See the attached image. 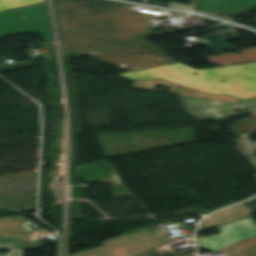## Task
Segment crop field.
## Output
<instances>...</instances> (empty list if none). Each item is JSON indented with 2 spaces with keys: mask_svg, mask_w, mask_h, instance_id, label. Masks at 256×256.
<instances>
[{
  "mask_svg": "<svg viewBox=\"0 0 256 256\" xmlns=\"http://www.w3.org/2000/svg\"><path fill=\"white\" fill-rule=\"evenodd\" d=\"M129 6L104 1L57 12L62 52L138 38L136 34L152 31L147 19L156 15L131 12Z\"/></svg>",
  "mask_w": 256,
  "mask_h": 256,
  "instance_id": "crop-field-1",
  "label": "crop field"
},
{
  "mask_svg": "<svg viewBox=\"0 0 256 256\" xmlns=\"http://www.w3.org/2000/svg\"><path fill=\"white\" fill-rule=\"evenodd\" d=\"M192 72L199 75L194 76ZM118 75L130 80L160 78L206 94L232 95L238 99L256 96V62L205 70L173 63Z\"/></svg>",
  "mask_w": 256,
  "mask_h": 256,
  "instance_id": "crop-field-2",
  "label": "crop field"
},
{
  "mask_svg": "<svg viewBox=\"0 0 256 256\" xmlns=\"http://www.w3.org/2000/svg\"><path fill=\"white\" fill-rule=\"evenodd\" d=\"M163 230L149 231L148 229H138L123 236L103 242L104 246L86 250L70 256H137L160 246L158 243H170L183 238V236L165 237ZM147 236L150 239L145 240Z\"/></svg>",
  "mask_w": 256,
  "mask_h": 256,
  "instance_id": "crop-field-3",
  "label": "crop field"
},
{
  "mask_svg": "<svg viewBox=\"0 0 256 256\" xmlns=\"http://www.w3.org/2000/svg\"><path fill=\"white\" fill-rule=\"evenodd\" d=\"M140 41L144 46L94 55L92 57L112 65L119 62L127 63L129 66L123 69L127 72L174 62L156 45H151L147 39Z\"/></svg>",
  "mask_w": 256,
  "mask_h": 256,
  "instance_id": "crop-field-4",
  "label": "crop field"
},
{
  "mask_svg": "<svg viewBox=\"0 0 256 256\" xmlns=\"http://www.w3.org/2000/svg\"><path fill=\"white\" fill-rule=\"evenodd\" d=\"M218 229L222 233L205 239H197L198 247L207 250H217L242 239L256 236V224L252 221L251 216L222 225Z\"/></svg>",
  "mask_w": 256,
  "mask_h": 256,
  "instance_id": "crop-field-5",
  "label": "crop field"
},
{
  "mask_svg": "<svg viewBox=\"0 0 256 256\" xmlns=\"http://www.w3.org/2000/svg\"><path fill=\"white\" fill-rule=\"evenodd\" d=\"M184 109L199 121L220 120L235 116L236 104L178 96Z\"/></svg>",
  "mask_w": 256,
  "mask_h": 256,
  "instance_id": "crop-field-6",
  "label": "crop field"
},
{
  "mask_svg": "<svg viewBox=\"0 0 256 256\" xmlns=\"http://www.w3.org/2000/svg\"><path fill=\"white\" fill-rule=\"evenodd\" d=\"M76 175L88 182L106 181L113 184L112 198L133 195L120 181L116 169L106 161L78 166Z\"/></svg>",
  "mask_w": 256,
  "mask_h": 256,
  "instance_id": "crop-field-7",
  "label": "crop field"
},
{
  "mask_svg": "<svg viewBox=\"0 0 256 256\" xmlns=\"http://www.w3.org/2000/svg\"><path fill=\"white\" fill-rule=\"evenodd\" d=\"M48 13L25 18L19 21L0 24V36L6 33L21 34L26 32H39L47 42L38 44L39 47L53 45Z\"/></svg>",
  "mask_w": 256,
  "mask_h": 256,
  "instance_id": "crop-field-8",
  "label": "crop field"
},
{
  "mask_svg": "<svg viewBox=\"0 0 256 256\" xmlns=\"http://www.w3.org/2000/svg\"><path fill=\"white\" fill-rule=\"evenodd\" d=\"M255 5L256 0H202L200 10L213 13H241Z\"/></svg>",
  "mask_w": 256,
  "mask_h": 256,
  "instance_id": "crop-field-9",
  "label": "crop field"
},
{
  "mask_svg": "<svg viewBox=\"0 0 256 256\" xmlns=\"http://www.w3.org/2000/svg\"><path fill=\"white\" fill-rule=\"evenodd\" d=\"M250 215L252 214L242 205L236 206L235 208L231 207L203 220V222L199 226L198 232L207 230L209 228L222 225L231 221H235Z\"/></svg>",
  "mask_w": 256,
  "mask_h": 256,
  "instance_id": "crop-field-10",
  "label": "crop field"
},
{
  "mask_svg": "<svg viewBox=\"0 0 256 256\" xmlns=\"http://www.w3.org/2000/svg\"><path fill=\"white\" fill-rule=\"evenodd\" d=\"M204 38L211 43L208 47L215 53H222V51H234L235 48L226 43V41L239 39L234 30L209 34Z\"/></svg>",
  "mask_w": 256,
  "mask_h": 256,
  "instance_id": "crop-field-11",
  "label": "crop field"
},
{
  "mask_svg": "<svg viewBox=\"0 0 256 256\" xmlns=\"http://www.w3.org/2000/svg\"><path fill=\"white\" fill-rule=\"evenodd\" d=\"M48 12L47 3L0 13V23Z\"/></svg>",
  "mask_w": 256,
  "mask_h": 256,
  "instance_id": "crop-field-12",
  "label": "crop field"
},
{
  "mask_svg": "<svg viewBox=\"0 0 256 256\" xmlns=\"http://www.w3.org/2000/svg\"><path fill=\"white\" fill-rule=\"evenodd\" d=\"M216 252H225L226 255L224 256H256V237L217 250Z\"/></svg>",
  "mask_w": 256,
  "mask_h": 256,
  "instance_id": "crop-field-13",
  "label": "crop field"
},
{
  "mask_svg": "<svg viewBox=\"0 0 256 256\" xmlns=\"http://www.w3.org/2000/svg\"><path fill=\"white\" fill-rule=\"evenodd\" d=\"M255 133L256 132L239 135V139L235 140L237 149L247 160L256 158V141H250L249 139V136Z\"/></svg>",
  "mask_w": 256,
  "mask_h": 256,
  "instance_id": "crop-field-14",
  "label": "crop field"
},
{
  "mask_svg": "<svg viewBox=\"0 0 256 256\" xmlns=\"http://www.w3.org/2000/svg\"><path fill=\"white\" fill-rule=\"evenodd\" d=\"M157 86L169 87L168 90L174 94H176L178 88L177 84L169 83L159 79L133 81V89L155 90Z\"/></svg>",
  "mask_w": 256,
  "mask_h": 256,
  "instance_id": "crop-field-15",
  "label": "crop field"
},
{
  "mask_svg": "<svg viewBox=\"0 0 256 256\" xmlns=\"http://www.w3.org/2000/svg\"><path fill=\"white\" fill-rule=\"evenodd\" d=\"M44 245L46 244L26 242V241L17 240V239L0 237V249H9V248L32 249V248H36Z\"/></svg>",
  "mask_w": 256,
  "mask_h": 256,
  "instance_id": "crop-field-16",
  "label": "crop field"
},
{
  "mask_svg": "<svg viewBox=\"0 0 256 256\" xmlns=\"http://www.w3.org/2000/svg\"><path fill=\"white\" fill-rule=\"evenodd\" d=\"M235 125L231 127L235 135L256 131V117L239 120L234 122Z\"/></svg>",
  "mask_w": 256,
  "mask_h": 256,
  "instance_id": "crop-field-17",
  "label": "crop field"
},
{
  "mask_svg": "<svg viewBox=\"0 0 256 256\" xmlns=\"http://www.w3.org/2000/svg\"><path fill=\"white\" fill-rule=\"evenodd\" d=\"M45 0H0V11L32 5Z\"/></svg>",
  "mask_w": 256,
  "mask_h": 256,
  "instance_id": "crop-field-18",
  "label": "crop field"
},
{
  "mask_svg": "<svg viewBox=\"0 0 256 256\" xmlns=\"http://www.w3.org/2000/svg\"><path fill=\"white\" fill-rule=\"evenodd\" d=\"M141 45L142 44L140 43V41H136V42L118 44L116 46H109V47L97 48V49H92V50H86L85 52L88 53L89 55H93V54L116 51V50H121V49H125V48L141 46Z\"/></svg>",
  "mask_w": 256,
  "mask_h": 256,
  "instance_id": "crop-field-19",
  "label": "crop field"
},
{
  "mask_svg": "<svg viewBox=\"0 0 256 256\" xmlns=\"http://www.w3.org/2000/svg\"><path fill=\"white\" fill-rule=\"evenodd\" d=\"M177 94L180 95H188V96H196V97H205V98H214V99H222L229 101H238L230 96H217V95H206L198 91L182 88L179 86Z\"/></svg>",
  "mask_w": 256,
  "mask_h": 256,
  "instance_id": "crop-field-20",
  "label": "crop field"
},
{
  "mask_svg": "<svg viewBox=\"0 0 256 256\" xmlns=\"http://www.w3.org/2000/svg\"><path fill=\"white\" fill-rule=\"evenodd\" d=\"M100 2V0H55L56 9L62 10L70 7H75L83 4Z\"/></svg>",
  "mask_w": 256,
  "mask_h": 256,
  "instance_id": "crop-field-21",
  "label": "crop field"
},
{
  "mask_svg": "<svg viewBox=\"0 0 256 256\" xmlns=\"http://www.w3.org/2000/svg\"><path fill=\"white\" fill-rule=\"evenodd\" d=\"M239 108L242 114L256 111V97L249 100L241 101Z\"/></svg>",
  "mask_w": 256,
  "mask_h": 256,
  "instance_id": "crop-field-22",
  "label": "crop field"
},
{
  "mask_svg": "<svg viewBox=\"0 0 256 256\" xmlns=\"http://www.w3.org/2000/svg\"><path fill=\"white\" fill-rule=\"evenodd\" d=\"M139 256H194V252L181 254L175 252H158L157 250L153 249Z\"/></svg>",
  "mask_w": 256,
  "mask_h": 256,
  "instance_id": "crop-field-23",
  "label": "crop field"
},
{
  "mask_svg": "<svg viewBox=\"0 0 256 256\" xmlns=\"http://www.w3.org/2000/svg\"><path fill=\"white\" fill-rule=\"evenodd\" d=\"M233 27L225 26V25H217L215 27H207L203 33H208V32H214V31H219V30H225V29H231Z\"/></svg>",
  "mask_w": 256,
  "mask_h": 256,
  "instance_id": "crop-field-24",
  "label": "crop field"
},
{
  "mask_svg": "<svg viewBox=\"0 0 256 256\" xmlns=\"http://www.w3.org/2000/svg\"><path fill=\"white\" fill-rule=\"evenodd\" d=\"M46 234L33 231L29 241L40 242Z\"/></svg>",
  "mask_w": 256,
  "mask_h": 256,
  "instance_id": "crop-field-25",
  "label": "crop field"
},
{
  "mask_svg": "<svg viewBox=\"0 0 256 256\" xmlns=\"http://www.w3.org/2000/svg\"><path fill=\"white\" fill-rule=\"evenodd\" d=\"M64 57L65 59H74V58L86 57V55L82 52H79V53L64 55Z\"/></svg>",
  "mask_w": 256,
  "mask_h": 256,
  "instance_id": "crop-field-26",
  "label": "crop field"
},
{
  "mask_svg": "<svg viewBox=\"0 0 256 256\" xmlns=\"http://www.w3.org/2000/svg\"><path fill=\"white\" fill-rule=\"evenodd\" d=\"M2 256H22V251L10 250L8 253H6Z\"/></svg>",
  "mask_w": 256,
  "mask_h": 256,
  "instance_id": "crop-field-27",
  "label": "crop field"
},
{
  "mask_svg": "<svg viewBox=\"0 0 256 256\" xmlns=\"http://www.w3.org/2000/svg\"><path fill=\"white\" fill-rule=\"evenodd\" d=\"M116 67H118V68H120V69H122V68H124V67H126V66H128L127 64H124V63H119V64H117V65H115Z\"/></svg>",
  "mask_w": 256,
  "mask_h": 256,
  "instance_id": "crop-field-28",
  "label": "crop field"
},
{
  "mask_svg": "<svg viewBox=\"0 0 256 256\" xmlns=\"http://www.w3.org/2000/svg\"><path fill=\"white\" fill-rule=\"evenodd\" d=\"M249 162L256 168V159L250 160ZM255 176H256V174H255Z\"/></svg>",
  "mask_w": 256,
  "mask_h": 256,
  "instance_id": "crop-field-29",
  "label": "crop field"
},
{
  "mask_svg": "<svg viewBox=\"0 0 256 256\" xmlns=\"http://www.w3.org/2000/svg\"><path fill=\"white\" fill-rule=\"evenodd\" d=\"M44 56H45V54H41V55L33 56L32 58L36 59V58H40V57H44Z\"/></svg>",
  "mask_w": 256,
  "mask_h": 256,
  "instance_id": "crop-field-30",
  "label": "crop field"
},
{
  "mask_svg": "<svg viewBox=\"0 0 256 256\" xmlns=\"http://www.w3.org/2000/svg\"><path fill=\"white\" fill-rule=\"evenodd\" d=\"M250 115L255 116V115H256V112H254V113H250Z\"/></svg>",
  "mask_w": 256,
  "mask_h": 256,
  "instance_id": "crop-field-31",
  "label": "crop field"
},
{
  "mask_svg": "<svg viewBox=\"0 0 256 256\" xmlns=\"http://www.w3.org/2000/svg\"><path fill=\"white\" fill-rule=\"evenodd\" d=\"M3 64H9V63H3ZM3 64H0V65H3Z\"/></svg>",
  "mask_w": 256,
  "mask_h": 256,
  "instance_id": "crop-field-32",
  "label": "crop field"
}]
</instances>
